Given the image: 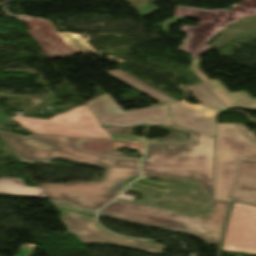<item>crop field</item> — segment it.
Segmentation results:
<instances>
[{"instance_id":"1","label":"crop field","mask_w":256,"mask_h":256,"mask_svg":"<svg viewBox=\"0 0 256 256\" xmlns=\"http://www.w3.org/2000/svg\"><path fill=\"white\" fill-rule=\"evenodd\" d=\"M169 126L191 132L194 140L178 146L147 145V155L142 162L144 176L195 179L209 195L213 212L202 219L188 218L118 199L100 211L110 217L191 234L217 245L229 202L212 201L214 138L173 124Z\"/></svg>"},{"instance_id":"2","label":"crop field","mask_w":256,"mask_h":256,"mask_svg":"<svg viewBox=\"0 0 256 256\" xmlns=\"http://www.w3.org/2000/svg\"><path fill=\"white\" fill-rule=\"evenodd\" d=\"M0 136L14 154L24 163H48L57 158L106 167L101 181L48 184L41 189L48 198L68 201L79 208L98 210L115 198L114 192L125 180L140 176L138 159H122L96 154L76 148L83 138L32 135L22 137L0 131Z\"/></svg>"},{"instance_id":"3","label":"crop field","mask_w":256,"mask_h":256,"mask_svg":"<svg viewBox=\"0 0 256 256\" xmlns=\"http://www.w3.org/2000/svg\"><path fill=\"white\" fill-rule=\"evenodd\" d=\"M232 10H206L178 6L173 19H167L162 27L168 33L170 25L184 20L185 17L200 20L196 27L182 26V32L188 37L178 50L190 54L192 59L208 52L211 45L208 43L225 27L247 16L256 15V0H244L239 5L231 6Z\"/></svg>"},{"instance_id":"4","label":"crop field","mask_w":256,"mask_h":256,"mask_svg":"<svg viewBox=\"0 0 256 256\" xmlns=\"http://www.w3.org/2000/svg\"><path fill=\"white\" fill-rule=\"evenodd\" d=\"M241 159L256 161V138L244 125L218 124L215 199L230 200Z\"/></svg>"},{"instance_id":"5","label":"crop field","mask_w":256,"mask_h":256,"mask_svg":"<svg viewBox=\"0 0 256 256\" xmlns=\"http://www.w3.org/2000/svg\"><path fill=\"white\" fill-rule=\"evenodd\" d=\"M12 120L37 134L112 140L86 105L76 107L50 120L16 115Z\"/></svg>"},{"instance_id":"6","label":"crop field","mask_w":256,"mask_h":256,"mask_svg":"<svg viewBox=\"0 0 256 256\" xmlns=\"http://www.w3.org/2000/svg\"><path fill=\"white\" fill-rule=\"evenodd\" d=\"M86 105L96 115L102 125L127 127L143 123L157 125L170 122L164 106L123 112L110 95H102Z\"/></svg>"},{"instance_id":"7","label":"crop field","mask_w":256,"mask_h":256,"mask_svg":"<svg viewBox=\"0 0 256 256\" xmlns=\"http://www.w3.org/2000/svg\"><path fill=\"white\" fill-rule=\"evenodd\" d=\"M223 250L256 254V207L234 204Z\"/></svg>"},{"instance_id":"8","label":"crop field","mask_w":256,"mask_h":256,"mask_svg":"<svg viewBox=\"0 0 256 256\" xmlns=\"http://www.w3.org/2000/svg\"><path fill=\"white\" fill-rule=\"evenodd\" d=\"M62 221L67 224L70 232L75 233L86 244L92 243H111L120 246L133 247L158 254L163 247H159L150 243L137 240H126L120 237L105 233L94 227V221L81 219L76 215H66L62 217Z\"/></svg>"},{"instance_id":"9","label":"crop field","mask_w":256,"mask_h":256,"mask_svg":"<svg viewBox=\"0 0 256 256\" xmlns=\"http://www.w3.org/2000/svg\"><path fill=\"white\" fill-rule=\"evenodd\" d=\"M176 125L188 127L215 136L218 111L182 103L168 105Z\"/></svg>"},{"instance_id":"10","label":"crop field","mask_w":256,"mask_h":256,"mask_svg":"<svg viewBox=\"0 0 256 256\" xmlns=\"http://www.w3.org/2000/svg\"><path fill=\"white\" fill-rule=\"evenodd\" d=\"M233 200L256 206V163L243 161Z\"/></svg>"},{"instance_id":"11","label":"crop field","mask_w":256,"mask_h":256,"mask_svg":"<svg viewBox=\"0 0 256 256\" xmlns=\"http://www.w3.org/2000/svg\"><path fill=\"white\" fill-rule=\"evenodd\" d=\"M199 60L200 57L194 59L192 69L200 77V79L214 92V94L223 101V103L228 108L252 100V98L245 91L230 94L219 80L210 81L198 68Z\"/></svg>"},{"instance_id":"12","label":"crop field","mask_w":256,"mask_h":256,"mask_svg":"<svg viewBox=\"0 0 256 256\" xmlns=\"http://www.w3.org/2000/svg\"><path fill=\"white\" fill-rule=\"evenodd\" d=\"M0 194L45 198L40 187H27L22 179L3 177L0 179Z\"/></svg>"},{"instance_id":"13","label":"crop field","mask_w":256,"mask_h":256,"mask_svg":"<svg viewBox=\"0 0 256 256\" xmlns=\"http://www.w3.org/2000/svg\"><path fill=\"white\" fill-rule=\"evenodd\" d=\"M109 74L113 75L114 77L134 86L135 88L141 90L142 92L148 94L149 96L155 98L156 100L167 104V103H172V102H177V100L151 88L147 84L143 83L139 79L131 76L130 74L122 71V70H116V71H106Z\"/></svg>"},{"instance_id":"14","label":"crop field","mask_w":256,"mask_h":256,"mask_svg":"<svg viewBox=\"0 0 256 256\" xmlns=\"http://www.w3.org/2000/svg\"><path fill=\"white\" fill-rule=\"evenodd\" d=\"M187 88L203 105L221 111L227 109L222 101L218 97H216L204 83L188 86Z\"/></svg>"},{"instance_id":"15","label":"crop field","mask_w":256,"mask_h":256,"mask_svg":"<svg viewBox=\"0 0 256 256\" xmlns=\"http://www.w3.org/2000/svg\"><path fill=\"white\" fill-rule=\"evenodd\" d=\"M158 9H159V8H156V7H154L153 5L149 4V5H147L146 7H144L143 9H141V10L138 11V12H139V14H140L142 17H144V16H146V15H148V14H150V13H152V12L158 10Z\"/></svg>"},{"instance_id":"16","label":"crop field","mask_w":256,"mask_h":256,"mask_svg":"<svg viewBox=\"0 0 256 256\" xmlns=\"http://www.w3.org/2000/svg\"><path fill=\"white\" fill-rule=\"evenodd\" d=\"M235 107L256 110V99L246 102V103H243V104H240V105H237Z\"/></svg>"},{"instance_id":"17","label":"crop field","mask_w":256,"mask_h":256,"mask_svg":"<svg viewBox=\"0 0 256 256\" xmlns=\"http://www.w3.org/2000/svg\"><path fill=\"white\" fill-rule=\"evenodd\" d=\"M8 118H10V117H8L7 115H5V114H3V113L0 112V123H1L2 121H4V120L8 119Z\"/></svg>"},{"instance_id":"18","label":"crop field","mask_w":256,"mask_h":256,"mask_svg":"<svg viewBox=\"0 0 256 256\" xmlns=\"http://www.w3.org/2000/svg\"><path fill=\"white\" fill-rule=\"evenodd\" d=\"M191 134V133H190ZM191 136H192V134H191ZM193 140V137H192V139L190 140V141H192ZM189 141V142H190ZM147 144H158V143H147ZM175 145H177V144H175Z\"/></svg>"}]
</instances>
